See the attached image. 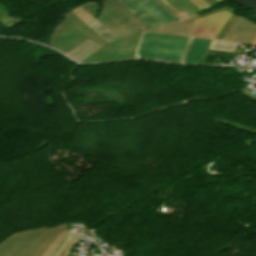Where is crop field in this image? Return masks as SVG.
I'll list each match as a JSON object with an SVG mask.
<instances>
[{
    "mask_svg": "<svg viewBox=\"0 0 256 256\" xmlns=\"http://www.w3.org/2000/svg\"><path fill=\"white\" fill-rule=\"evenodd\" d=\"M98 48L97 44L88 39L66 55L80 61Z\"/></svg>",
    "mask_w": 256,
    "mask_h": 256,
    "instance_id": "f4fd0767",
    "label": "crop field"
},
{
    "mask_svg": "<svg viewBox=\"0 0 256 256\" xmlns=\"http://www.w3.org/2000/svg\"><path fill=\"white\" fill-rule=\"evenodd\" d=\"M191 40H192V38L190 37L189 38V40H188V42H187V45H186V47H185V50H184V52H183V54H182V57H181V59H180V61L179 62H183V60H184V57H185V55H186V52H187V50H188V47H189V45H190V43H191Z\"/></svg>",
    "mask_w": 256,
    "mask_h": 256,
    "instance_id": "5a996713",
    "label": "crop field"
},
{
    "mask_svg": "<svg viewBox=\"0 0 256 256\" xmlns=\"http://www.w3.org/2000/svg\"><path fill=\"white\" fill-rule=\"evenodd\" d=\"M196 6H198L200 9L206 8L209 5L206 4L203 0H191Z\"/></svg>",
    "mask_w": 256,
    "mask_h": 256,
    "instance_id": "d8731c3e",
    "label": "crop field"
},
{
    "mask_svg": "<svg viewBox=\"0 0 256 256\" xmlns=\"http://www.w3.org/2000/svg\"><path fill=\"white\" fill-rule=\"evenodd\" d=\"M94 31H96L100 36H102L108 42L117 39L114 35H112L103 25H101L97 20L88 25Z\"/></svg>",
    "mask_w": 256,
    "mask_h": 256,
    "instance_id": "dd49c442",
    "label": "crop field"
},
{
    "mask_svg": "<svg viewBox=\"0 0 256 256\" xmlns=\"http://www.w3.org/2000/svg\"><path fill=\"white\" fill-rule=\"evenodd\" d=\"M219 2H221V0H218Z\"/></svg>",
    "mask_w": 256,
    "mask_h": 256,
    "instance_id": "3316defc",
    "label": "crop field"
},
{
    "mask_svg": "<svg viewBox=\"0 0 256 256\" xmlns=\"http://www.w3.org/2000/svg\"><path fill=\"white\" fill-rule=\"evenodd\" d=\"M73 233L67 232V234L64 236V238L61 240V242L58 244V246L55 248V250L52 252L50 256H56L61 249L66 245V243L69 241V239L72 237Z\"/></svg>",
    "mask_w": 256,
    "mask_h": 256,
    "instance_id": "e52e79f7",
    "label": "crop field"
},
{
    "mask_svg": "<svg viewBox=\"0 0 256 256\" xmlns=\"http://www.w3.org/2000/svg\"><path fill=\"white\" fill-rule=\"evenodd\" d=\"M188 38L144 32L136 54L142 58L178 62Z\"/></svg>",
    "mask_w": 256,
    "mask_h": 256,
    "instance_id": "8a807250",
    "label": "crop field"
},
{
    "mask_svg": "<svg viewBox=\"0 0 256 256\" xmlns=\"http://www.w3.org/2000/svg\"><path fill=\"white\" fill-rule=\"evenodd\" d=\"M229 16L230 13L220 10L211 15L196 18L185 35L214 38Z\"/></svg>",
    "mask_w": 256,
    "mask_h": 256,
    "instance_id": "34b2d1b8",
    "label": "crop field"
},
{
    "mask_svg": "<svg viewBox=\"0 0 256 256\" xmlns=\"http://www.w3.org/2000/svg\"><path fill=\"white\" fill-rule=\"evenodd\" d=\"M119 1L149 28L176 20L156 0Z\"/></svg>",
    "mask_w": 256,
    "mask_h": 256,
    "instance_id": "ac0d7876",
    "label": "crop field"
},
{
    "mask_svg": "<svg viewBox=\"0 0 256 256\" xmlns=\"http://www.w3.org/2000/svg\"><path fill=\"white\" fill-rule=\"evenodd\" d=\"M211 41L194 37L183 63L202 64Z\"/></svg>",
    "mask_w": 256,
    "mask_h": 256,
    "instance_id": "412701ff",
    "label": "crop field"
}]
</instances>
